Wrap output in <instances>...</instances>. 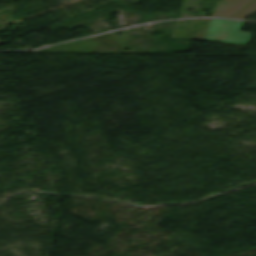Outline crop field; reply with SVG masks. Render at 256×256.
<instances>
[{
	"label": "crop field",
	"instance_id": "crop-field-1",
	"mask_svg": "<svg viewBox=\"0 0 256 256\" xmlns=\"http://www.w3.org/2000/svg\"><path fill=\"white\" fill-rule=\"evenodd\" d=\"M243 21L212 19L203 40L246 44L251 33L238 32Z\"/></svg>",
	"mask_w": 256,
	"mask_h": 256
},
{
	"label": "crop field",
	"instance_id": "crop-field-2",
	"mask_svg": "<svg viewBox=\"0 0 256 256\" xmlns=\"http://www.w3.org/2000/svg\"><path fill=\"white\" fill-rule=\"evenodd\" d=\"M256 13V0H221L213 16H226L244 19Z\"/></svg>",
	"mask_w": 256,
	"mask_h": 256
}]
</instances>
